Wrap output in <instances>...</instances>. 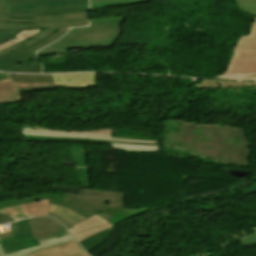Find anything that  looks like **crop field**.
<instances>
[{
    "label": "crop field",
    "instance_id": "8a807250",
    "mask_svg": "<svg viewBox=\"0 0 256 256\" xmlns=\"http://www.w3.org/2000/svg\"><path fill=\"white\" fill-rule=\"evenodd\" d=\"M123 20L90 23V27L72 28L52 45L37 52L38 56L63 53L68 48L112 47Z\"/></svg>",
    "mask_w": 256,
    "mask_h": 256
},
{
    "label": "crop field",
    "instance_id": "ac0d7876",
    "mask_svg": "<svg viewBox=\"0 0 256 256\" xmlns=\"http://www.w3.org/2000/svg\"><path fill=\"white\" fill-rule=\"evenodd\" d=\"M8 0H0V29L74 27L88 24V13L58 14L35 19H7Z\"/></svg>",
    "mask_w": 256,
    "mask_h": 256
},
{
    "label": "crop field",
    "instance_id": "34b2d1b8",
    "mask_svg": "<svg viewBox=\"0 0 256 256\" xmlns=\"http://www.w3.org/2000/svg\"><path fill=\"white\" fill-rule=\"evenodd\" d=\"M125 192H110L83 188L79 195L66 194L64 200L70 201L71 209L88 218L96 211H104L105 206L123 207Z\"/></svg>",
    "mask_w": 256,
    "mask_h": 256
},
{
    "label": "crop field",
    "instance_id": "412701ff",
    "mask_svg": "<svg viewBox=\"0 0 256 256\" xmlns=\"http://www.w3.org/2000/svg\"><path fill=\"white\" fill-rule=\"evenodd\" d=\"M256 72V18L250 32L237 41L225 73Z\"/></svg>",
    "mask_w": 256,
    "mask_h": 256
},
{
    "label": "crop field",
    "instance_id": "f4fd0767",
    "mask_svg": "<svg viewBox=\"0 0 256 256\" xmlns=\"http://www.w3.org/2000/svg\"><path fill=\"white\" fill-rule=\"evenodd\" d=\"M83 5L88 0H10L8 18H34L33 10Z\"/></svg>",
    "mask_w": 256,
    "mask_h": 256
},
{
    "label": "crop field",
    "instance_id": "dd49c442",
    "mask_svg": "<svg viewBox=\"0 0 256 256\" xmlns=\"http://www.w3.org/2000/svg\"><path fill=\"white\" fill-rule=\"evenodd\" d=\"M35 53L31 54L26 47L18 48L15 51L0 56V69L16 72L40 73L41 64H31L16 68L14 64L35 59Z\"/></svg>",
    "mask_w": 256,
    "mask_h": 256
},
{
    "label": "crop field",
    "instance_id": "e52e79f7",
    "mask_svg": "<svg viewBox=\"0 0 256 256\" xmlns=\"http://www.w3.org/2000/svg\"><path fill=\"white\" fill-rule=\"evenodd\" d=\"M32 228L33 238H37L38 241L68 234L63 225L47 217L32 219Z\"/></svg>",
    "mask_w": 256,
    "mask_h": 256
},
{
    "label": "crop field",
    "instance_id": "d8731c3e",
    "mask_svg": "<svg viewBox=\"0 0 256 256\" xmlns=\"http://www.w3.org/2000/svg\"><path fill=\"white\" fill-rule=\"evenodd\" d=\"M22 135L47 136V137H82V138H90V139H107V140L159 143L154 141L115 138V137H110L111 134L68 133V132H57V131L37 130V129H23Z\"/></svg>",
    "mask_w": 256,
    "mask_h": 256
},
{
    "label": "crop field",
    "instance_id": "5a996713",
    "mask_svg": "<svg viewBox=\"0 0 256 256\" xmlns=\"http://www.w3.org/2000/svg\"><path fill=\"white\" fill-rule=\"evenodd\" d=\"M112 224L103 220L102 218L94 215L76 225L75 228L69 229L73 237L78 241L89 237L97 232H100L106 228H110Z\"/></svg>",
    "mask_w": 256,
    "mask_h": 256
},
{
    "label": "crop field",
    "instance_id": "3316defc",
    "mask_svg": "<svg viewBox=\"0 0 256 256\" xmlns=\"http://www.w3.org/2000/svg\"><path fill=\"white\" fill-rule=\"evenodd\" d=\"M58 88H79L96 85L97 73L52 75Z\"/></svg>",
    "mask_w": 256,
    "mask_h": 256
},
{
    "label": "crop field",
    "instance_id": "28ad6ade",
    "mask_svg": "<svg viewBox=\"0 0 256 256\" xmlns=\"http://www.w3.org/2000/svg\"><path fill=\"white\" fill-rule=\"evenodd\" d=\"M26 256H89L75 240L57 246L38 250Z\"/></svg>",
    "mask_w": 256,
    "mask_h": 256
},
{
    "label": "crop field",
    "instance_id": "d1516ede",
    "mask_svg": "<svg viewBox=\"0 0 256 256\" xmlns=\"http://www.w3.org/2000/svg\"><path fill=\"white\" fill-rule=\"evenodd\" d=\"M149 211L150 210L148 206L139 209L106 207L104 213L97 215L109 221L110 223H116Z\"/></svg>",
    "mask_w": 256,
    "mask_h": 256
},
{
    "label": "crop field",
    "instance_id": "22f410ed",
    "mask_svg": "<svg viewBox=\"0 0 256 256\" xmlns=\"http://www.w3.org/2000/svg\"><path fill=\"white\" fill-rule=\"evenodd\" d=\"M23 137L25 142L57 141V142H80V143H91V144L123 143V144H141V145L160 146L159 144L107 141V140H90V139H81V138H47V137H32V136H23Z\"/></svg>",
    "mask_w": 256,
    "mask_h": 256
},
{
    "label": "crop field",
    "instance_id": "cbeb9de0",
    "mask_svg": "<svg viewBox=\"0 0 256 256\" xmlns=\"http://www.w3.org/2000/svg\"><path fill=\"white\" fill-rule=\"evenodd\" d=\"M63 197L64 195L59 194V195H48V196H33L28 198L16 199L13 201L0 203V209L10 207V206L26 204V203L34 202L40 199H49V203L64 206L67 208L72 203L63 201Z\"/></svg>",
    "mask_w": 256,
    "mask_h": 256
},
{
    "label": "crop field",
    "instance_id": "5142ce71",
    "mask_svg": "<svg viewBox=\"0 0 256 256\" xmlns=\"http://www.w3.org/2000/svg\"><path fill=\"white\" fill-rule=\"evenodd\" d=\"M13 240L32 238L31 219L10 223Z\"/></svg>",
    "mask_w": 256,
    "mask_h": 256
},
{
    "label": "crop field",
    "instance_id": "d9b57169",
    "mask_svg": "<svg viewBox=\"0 0 256 256\" xmlns=\"http://www.w3.org/2000/svg\"><path fill=\"white\" fill-rule=\"evenodd\" d=\"M20 101V95L12 81L0 83V103Z\"/></svg>",
    "mask_w": 256,
    "mask_h": 256
},
{
    "label": "crop field",
    "instance_id": "733c2abd",
    "mask_svg": "<svg viewBox=\"0 0 256 256\" xmlns=\"http://www.w3.org/2000/svg\"><path fill=\"white\" fill-rule=\"evenodd\" d=\"M70 240H73V238L69 234V235L64 236V237H59V238H54V239L41 241V242H39L40 246H38V247H34V248L26 249V250H23V251L11 253V254H8L6 256H25V254L30 253L32 251H35V250H38V249H41V248H45V247H49V246H53V245H57V244H60V243L66 242V241H70ZM0 256H4L2 251H1V248H0Z\"/></svg>",
    "mask_w": 256,
    "mask_h": 256
},
{
    "label": "crop field",
    "instance_id": "4a817a6b",
    "mask_svg": "<svg viewBox=\"0 0 256 256\" xmlns=\"http://www.w3.org/2000/svg\"><path fill=\"white\" fill-rule=\"evenodd\" d=\"M1 248L4 252V254H8L11 252L23 250L26 248L38 246L39 243L36 239H31V240H22V241H13V242H6V243H1Z\"/></svg>",
    "mask_w": 256,
    "mask_h": 256
},
{
    "label": "crop field",
    "instance_id": "bc2a9ffb",
    "mask_svg": "<svg viewBox=\"0 0 256 256\" xmlns=\"http://www.w3.org/2000/svg\"><path fill=\"white\" fill-rule=\"evenodd\" d=\"M194 87H256V82H230L220 80H204Z\"/></svg>",
    "mask_w": 256,
    "mask_h": 256
},
{
    "label": "crop field",
    "instance_id": "214f88e0",
    "mask_svg": "<svg viewBox=\"0 0 256 256\" xmlns=\"http://www.w3.org/2000/svg\"><path fill=\"white\" fill-rule=\"evenodd\" d=\"M43 29H28V30H21V32L14 37L10 38L6 42L0 44V51L6 48H9L19 42H22L36 34H38Z\"/></svg>",
    "mask_w": 256,
    "mask_h": 256
},
{
    "label": "crop field",
    "instance_id": "92a150f3",
    "mask_svg": "<svg viewBox=\"0 0 256 256\" xmlns=\"http://www.w3.org/2000/svg\"><path fill=\"white\" fill-rule=\"evenodd\" d=\"M49 212H54L55 214L60 215L61 217L69 221L72 225L85 219L84 217L71 210L51 204H49Z\"/></svg>",
    "mask_w": 256,
    "mask_h": 256
},
{
    "label": "crop field",
    "instance_id": "dafd665d",
    "mask_svg": "<svg viewBox=\"0 0 256 256\" xmlns=\"http://www.w3.org/2000/svg\"><path fill=\"white\" fill-rule=\"evenodd\" d=\"M13 82H54L51 75H15L9 74Z\"/></svg>",
    "mask_w": 256,
    "mask_h": 256
},
{
    "label": "crop field",
    "instance_id": "00972430",
    "mask_svg": "<svg viewBox=\"0 0 256 256\" xmlns=\"http://www.w3.org/2000/svg\"><path fill=\"white\" fill-rule=\"evenodd\" d=\"M111 230H112V228L106 229L100 233H97V234L79 242V244L87 251V250L91 249L92 247L96 246L97 244H99L105 238H107V236L111 232Z\"/></svg>",
    "mask_w": 256,
    "mask_h": 256
},
{
    "label": "crop field",
    "instance_id": "a9b5d70f",
    "mask_svg": "<svg viewBox=\"0 0 256 256\" xmlns=\"http://www.w3.org/2000/svg\"><path fill=\"white\" fill-rule=\"evenodd\" d=\"M78 12H88V6L34 11L35 16Z\"/></svg>",
    "mask_w": 256,
    "mask_h": 256
},
{
    "label": "crop field",
    "instance_id": "4177f3b9",
    "mask_svg": "<svg viewBox=\"0 0 256 256\" xmlns=\"http://www.w3.org/2000/svg\"><path fill=\"white\" fill-rule=\"evenodd\" d=\"M140 3H151V1L137 0V1L112 2V3H104V4H90V10L127 6V5L140 4Z\"/></svg>",
    "mask_w": 256,
    "mask_h": 256
},
{
    "label": "crop field",
    "instance_id": "730fd06b",
    "mask_svg": "<svg viewBox=\"0 0 256 256\" xmlns=\"http://www.w3.org/2000/svg\"><path fill=\"white\" fill-rule=\"evenodd\" d=\"M115 149L124 151H138V152H149L155 151L159 152L160 147L153 146H141V145H123V144H111Z\"/></svg>",
    "mask_w": 256,
    "mask_h": 256
},
{
    "label": "crop field",
    "instance_id": "eef30255",
    "mask_svg": "<svg viewBox=\"0 0 256 256\" xmlns=\"http://www.w3.org/2000/svg\"><path fill=\"white\" fill-rule=\"evenodd\" d=\"M69 28L59 29L56 33H54L50 38L46 39L45 41L41 42L40 44L28 49L31 53L49 45L50 43L57 40L59 37L64 35Z\"/></svg>",
    "mask_w": 256,
    "mask_h": 256
},
{
    "label": "crop field",
    "instance_id": "ae1a2a85",
    "mask_svg": "<svg viewBox=\"0 0 256 256\" xmlns=\"http://www.w3.org/2000/svg\"><path fill=\"white\" fill-rule=\"evenodd\" d=\"M238 7L256 17V0H234ZM245 12V13H246Z\"/></svg>",
    "mask_w": 256,
    "mask_h": 256
},
{
    "label": "crop field",
    "instance_id": "d3111659",
    "mask_svg": "<svg viewBox=\"0 0 256 256\" xmlns=\"http://www.w3.org/2000/svg\"><path fill=\"white\" fill-rule=\"evenodd\" d=\"M19 90L57 88L55 83H15Z\"/></svg>",
    "mask_w": 256,
    "mask_h": 256
},
{
    "label": "crop field",
    "instance_id": "750c4746",
    "mask_svg": "<svg viewBox=\"0 0 256 256\" xmlns=\"http://www.w3.org/2000/svg\"><path fill=\"white\" fill-rule=\"evenodd\" d=\"M216 78H234V79H256V73L248 74H221Z\"/></svg>",
    "mask_w": 256,
    "mask_h": 256
},
{
    "label": "crop field",
    "instance_id": "bd1437ed",
    "mask_svg": "<svg viewBox=\"0 0 256 256\" xmlns=\"http://www.w3.org/2000/svg\"><path fill=\"white\" fill-rule=\"evenodd\" d=\"M20 30H0V43L19 33Z\"/></svg>",
    "mask_w": 256,
    "mask_h": 256
},
{
    "label": "crop field",
    "instance_id": "1d83c4d3",
    "mask_svg": "<svg viewBox=\"0 0 256 256\" xmlns=\"http://www.w3.org/2000/svg\"><path fill=\"white\" fill-rule=\"evenodd\" d=\"M243 245L256 243V234H252L240 239Z\"/></svg>",
    "mask_w": 256,
    "mask_h": 256
},
{
    "label": "crop field",
    "instance_id": "120bbe31",
    "mask_svg": "<svg viewBox=\"0 0 256 256\" xmlns=\"http://www.w3.org/2000/svg\"><path fill=\"white\" fill-rule=\"evenodd\" d=\"M48 215L51 216V217H54L56 220H58L59 222H61L62 224H64L67 229L73 228V226H72L69 222H67L66 220H64L63 218H61V217H59V216H57V215H55V214H53V213H49Z\"/></svg>",
    "mask_w": 256,
    "mask_h": 256
},
{
    "label": "crop field",
    "instance_id": "d32e631a",
    "mask_svg": "<svg viewBox=\"0 0 256 256\" xmlns=\"http://www.w3.org/2000/svg\"><path fill=\"white\" fill-rule=\"evenodd\" d=\"M5 241H12L10 232L0 234V243Z\"/></svg>",
    "mask_w": 256,
    "mask_h": 256
},
{
    "label": "crop field",
    "instance_id": "5866460e",
    "mask_svg": "<svg viewBox=\"0 0 256 256\" xmlns=\"http://www.w3.org/2000/svg\"><path fill=\"white\" fill-rule=\"evenodd\" d=\"M9 221H14V219L11 218V217H6V216L0 214V224L5 223V222H9Z\"/></svg>",
    "mask_w": 256,
    "mask_h": 256
},
{
    "label": "crop field",
    "instance_id": "028f5c9d",
    "mask_svg": "<svg viewBox=\"0 0 256 256\" xmlns=\"http://www.w3.org/2000/svg\"><path fill=\"white\" fill-rule=\"evenodd\" d=\"M21 46H23V45L20 43V44L14 46V47H12V48L3 50V51L0 52V55H2V54H4V53H7V52H9V51H11V50H14V49H16V48H18V47H21Z\"/></svg>",
    "mask_w": 256,
    "mask_h": 256
},
{
    "label": "crop field",
    "instance_id": "e1f06a70",
    "mask_svg": "<svg viewBox=\"0 0 256 256\" xmlns=\"http://www.w3.org/2000/svg\"><path fill=\"white\" fill-rule=\"evenodd\" d=\"M111 1H123V0H90V3H103V2H111Z\"/></svg>",
    "mask_w": 256,
    "mask_h": 256
},
{
    "label": "crop field",
    "instance_id": "0bd39190",
    "mask_svg": "<svg viewBox=\"0 0 256 256\" xmlns=\"http://www.w3.org/2000/svg\"><path fill=\"white\" fill-rule=\"evenodd\" d=\"M31 63H39V62H38L37 59L36 60H31V61H28V62H25V63L17 64L16 67L21 66V65H25V64H31Z\"/></svg>",
    "mask_w": 256,
    "mask_h": 256
},
{
    "label": "crop field",
    "instance_id": "b80d0937",
    "mask_svg": "<svg viewBox=\"0 0 256 256\" xmlns=\"http://www.w3.org/2000/svg\"><path fill=\"white\" fill-rule=\"evenodd\" d=\"M10 80V78L9 79H6V80H2V81H0V82H5V81H9Z\"/></svg>",
    "mask_w": 256,
    "mask_h": 256
}]
</instances>
